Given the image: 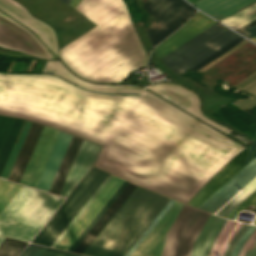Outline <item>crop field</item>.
<instances>
[{
  "instance_id": "c035e120",
  "label": "crop field",
  "mask_w": 256,
  "mask_h": 256,
  "mask_svg": "<svg viewBox=\"0 0 256 256\" xmlns=\"http://www.w3.org/2000/svg\"><path fill=\"white\" fill-rule=\"evenodd\" d=\"M249 227L247 224H243V226L240 228V230L237 232V234L234 236V238L231 240L227 251L224 256H230L235 244L240 239V237L243 235V233L246 231V229Z\"/></svg>"
},
{
  "instance_id": "eef30255",
  "label": "crop field",
  "mask_w": 256,
  "mask_h": 256,
  "mask_svg": "<svg viewBox=\"0 0 256 256\" xmlns=\"http://www.w3.org/2000/svg\"><path fill=\"white\" fill-rule=\"evenodd\" d=\"M242 189L243 190L237 194L230 202H228L220 211H218L216 215L224 217L248 195H250L256 189V176Z\"/></svg>"
},
{
  "instance_id": "b80d0937",
  "label": "crop field",
  "mask_w": 256,
  "mask_h": 256,
  "mask_svg": "<svg viewBox=\"0 0 256 256\" xmlns=\"http://www.w3.org/2000/svg\"><path fill=\"white\" fill-rule=\"evenodd\" d=\"M256 226L250 225V227L247 229V231L244 233V235L241 237V239L238 241L233 253L231 256H237L242 245L245 243V241L248 239V237L252 234V232L255 230Z\"/></svg>"
},
{
  "instance_id": "73cf0c24",
  "label": "crop field",
  "mask_w": 256,
  "mask_h": 256,
  "mask_svg": "<svg viewBox=\"0 0 256 256\" xmlns=\"http://www.w3.org/2000/svg\"><path fill=\"white\" fill-rule=\"evenodd\" d=\"M80 0H73L69 5L75 7Z\"/></svg>"
},
{
  "instance_id": "25e5ab78",
  "label": "crop field",
  "mask_w": 256,
  "mask_h": 256,
  "mask_svg": "<svg viewBox=\"0 0 256 256\" xmlns=\"http://www.w3.org/2000/svg\"><path fill=\"white\" fill-rule=\"evenodd\" d=\"M255 73H256V72H255ZM255 73H253V74H255ZM253 74H252V75H253ZM252 75H250V76H252ZM250 76H249V77H250ZM253 76H254V75H253ZM249 77H247L246 79H248ZM250 78H251V77H250ZM255 78H256V75H255L254 77H252L251 79H249L248 81H246L245 83H243L242 85H240V87H242V86H244L245 84L251 82V81L254 80ZM246 79H244L243 81H245ZM255 80H256V79H255ZM255 80H254V81H255ZM243 81H241L240 83H242ZM252 82H253V81H252ZM252 82H251V83H252ZM240 83H238V84H240ZM238 84H237V85H238ZM249 84H250V83H249ZM247 85H248V84H247ZM247 85H246V86H247ZM235 86H236V85H235ZM236 87H237V86H236ZM240 87H239V88H240ZM244 87H245V86H244ZM244 87H242V88H244ZM234 88H235V87H234ZM242 88H241V89H242Z\"/></svg>"
},
{
  "instance_id": "dbb93151",
  "label": "crop field",
  "mask_w": 256,
  "mask_h": 256,
  "mask_svg": "<svg viewBox=\"0 0 256 256\" xmlns=\"http://www.w3.org/2000/svg\"><path fill=\"white\" fill-rule=\"evenodd\" d=\"M251 40H253L254 42H256V37L252 38Z\"/></svg>"
},
{
  "instance_id": "89e229c0",
  "label": "crop field",
  "mask_w": 256,
  "mask_h": 256,
  "mask_svg": "<svg viewBox=\"0 0 256 256\" xmlns=\"http://www.w3.org/2000/svg\"><path fill=\"white\" fill-rule=\"evenodd\" d=\"M63 1H65V2H67V3H70L72 0H63Z\"/></svg>"
},
{
  "instance_id": "425ffa30",
  "label": "crop field",
  "mask_w": 256,
  "mask_h": 256,
  "mask_svg": "<svg viewBox=\"0 0 256 256\" xmlns=\"http://www.w3.org/2000/svg\"><path fill=\"white\" fill-rule=\"evenodd\" d=\"M255 24H256V20L251 22V23H249V24H247V25H245V26H243V27H241V28H239V29H237V30H235V31L241 33L243 31L247 30L248 28L254 26Z\"/></svg>"
},
{
  "instance_id": "d3111659",
  "label": "crop field",
  "mask_w": 256,
  "mask_h": 256,
  "mask_svg": "<svg viewBox=\"0 0 256 256\" xmlns=\"http://www.w3.org/2000/svg\"><path fill=\"white\" fill-rule=\"evenodd\" d=\"M22 185L0 179V213L21 189Z\"/></svg>"
},
{
  "instance_id": "412701ff",
  "label": "crop field",
  "mask_w": 256,
  "mask_h": 256,
  "mask_svg": "<svg viewBox=\"0 0 256 256\" xmlns=\"http://www.w3.org/2000/svg\"><path fill=\"white\" fill-rule=\"evenodd\" d=\"M63 200L23 186L0 215V235L30 241Z\"/></svg>"
},
{
  "instance_id": "5866460e",
  "label": "crop field",
  "mask_w": 256,
  "mask_h": 256,
  "mask_svg": "<svg viewBox=\"0 0 256 256\" xmlns=\"http://www.w3.org/2000/svg\"><path fill=\"white\" fill-rule=\"evenodd\" d=\"M250 204L256 206V190L225 217L235 220V215ZM254 224H256V220Z\"/></svg>"
},
{
  "instance_id": "733c2abd",
  "label": "crop field",
  "mask_w": 256,
  "mask_h": 256,
  "mask_svg": "<svg viewBox=\"0 0 256 256\" xmlns=\"http://www.w3.org/2000/svg\"><path fill=\"white\" fill-rule=\"evenodd\" d=\"M100 146L83 141L72 168L60 192V196L66 197L84 174L92 166Z\"/></svg>"
},
{
  "instance_id": "1f2cbd36",
  "label": "crop field",
  "mask_w": 256,
  "mask_h": 256,
  "mask_svg": "<svg viewBox=\"0 0 256 256\" xmlns=\"http://www.w3.org/2000/svg\"><path fill=\"white\" fill-rule=\"evenodd\" d=\"M4 237H0V243L3 241Z\"/></svg>"
},
{
  "instance_id": "8a807250",
  "label": "crop field",
  "mask_w": 256,
  "mask_h": 256,
  "mask_svg": "<svg viewBox=\"0 0 256 256\" xmlns=\"http://www.w3.org/2000/svg\"><path fill=\"white\" fill-rule=\"evenodd\" d=\"M51 75L0 73V114L104 145L95 167L186 204L243 146L133 85H97L59 61Z\"/></svg>"
},
{
  "instance_id": "e52e79f7",
  "label": "crop field",
  "mask_w": 256,
  "mask_h": 256,
  "mask_svg": "<svg viewBox=\"0 0 256 256\" xmlns=\"http://www.w3.org/2000/svg\"><path fill=\"white\" fill-rule=\"evenodd\" d=\"M209 213L184 204L169 229L161 256H189L192 243Z\"/></svg>"
},
{
  "instance_id": "00972430",
  "label": "crop field",
  "mask_w": 256,
  "mask_h": 256,
  "mask_svg": "<svg viewBox=\"0 0 256 256\" xmlns=\"http://www.w3.org/2000/svg\"><path fill=\"white\" fill-rule=\"evenodd\" d=\"M136 185L131 183L123 190V192L118 196V198L113 202V204L108 208V210L103 214L99 221L94 225V227L89 231V233L84 237V239L79 243V245L74 249V253L81 254L82 251L87 247V245L92 241V239L97 235L101 228L106 224V222L111 218V216L116 212L120 205L125 201V199L130 195V193L135 189Z\"/></svg>"
},
{
  "instance_id": "dafd665d",
  "label": "crop field",
  "mask_w": 256,
  "mask_h": 256,
  "mask_svg": "<svg viewBox=\"0 0 256 256\" xmlns=\"http://www.w3.org/2000/svg\"><path fill=\"white\" fill-rule=\"evenodd\" d=\"M43 127L44 126L42 125L34 123L31 124L11 174L8 178L9 180L17 183L19 182Z\"/></svg>"
},
{
  "instance_id": "d32e631a",
  "label": "crop field",
  "mask_w": 256,
  "mask_h": 256,
  "mask_svg": "<svg viewBox=\"0 0 256 256\" xmlns=\"http://www.w3.org/2000/svg\"><path fill=\"white\" fill-rule=\"evenodd\" d=\"M173 202L174 200L171 199L170 202L161 211V213L157 216V218L152 222V224L148 227V229L143 233V235L139 238V240L134 244V246L126 254V256H130L134 252V250L138 247V245L142 242V240L147 236V234L151 231V229L155 226V224L160 220V218L164 215V213L168 210V208L173 204Z\"/></svg>"
},
{
  "instance_id": "92a150f3",
  "label": "crop field",
  "mask_w": 256,
  "mask_h": 256,
  "mask_svg": "<svg viewBox=\"0 0 256 256\" xmlns=\"http://www.w3.org/2000/svg\"><path fill=\"white\" fill-rule=\"evenodd\" d=\"M71 137L72 136L69 134L62 132L60 133L54 149L50 155V158L47 162V165L40 178V181L36 187L37 189L46 192L48 191Z\"/></svg>"
},
{
  "instance_id": "120bbe31",
  "label": "crop field",
  "mask_w": 256,
  "mask_h": 256,
  "mask_svg": "<svg viewBox=\"0 0 256 256\" xmlns=\"http://www.w3.org/2000/svg\"><path fill=\"white\" fill-rule=\"evenodd\" d=\"M113 175H109V177L104 181V183L100 186V188L95 192V194L90 198V200L86 203V205L81 209V211L77 214V216L72 220V222L67 226V228L63 231V233L58 237V239L51 246L52 248L60 241V239L65 235V233L69 230V228L74 224V222L78 219V217L83 213V211L88 207V205L92 202V200L97 196V194L101 191V189L106 185V183L111 179Z\"/></svg>"
},
{
  "instance_id": "5d738f31",
  "label": "crop field",
  "mask_w": 256,
  "mask_h": 256,
  "mask_svg": "<svg viewBox=\"0 0 256 256\" xmlns=\"http://www.w3.org/2000/svg\"><path fill=\"white\" fill-rule=\"evenodd\" d=\"M244 256H256V238L251 243Z\"/></svg>"
},
{
  "instance_id": "d9b57169",
  "label": "crop field",
  "mask_w": 256,
  "mask_h": 256,
  "mask_svg": "<svg viewBox=\"0 0 256 256\" xmlns=\"http://www.w3.org/2000/svg\"><path fill=\"white\" fill-rule=\"evenodd\" d=\"M214 22L216 21L212 20L211 18L198 11L195 16L180 30H178L171 37H169L163 43L154 48L157 55L160 58L163 57L164 55H166L185 41L189 40Z\"/></svg>"
},
{
  "instance_id": "d23c7cc5",
  "label": "crop field",
  "mask_w": 256,
  "mask_h": 256,
  "mask_svg": "<svg viewBox=\"0 0 256 256\" xmlns=\"http://www.w3.org/2000/svg\"><path fill=\"white\" fill-rule=\"evenodd\" d=\"M241 34L244 35L245 37L249 38V39L256 36V26L247 30V31H245V32H243V33H241Z\"/></svg>"
},
{
  "instance_id": "4a817a6b",
  "label": "crop field",
  "mask_w": 256,
  "mask_h": 256,
  "mask_svg": "<svg viewBox=\"0 0 256 256\" xmlns=\"http://www.w3.org/2000/svg\"><path fill=\"white\" fill-rule=\"evenodd\" d=\"M187 4L184 0H148L144 3L143 6L146 12L152 14L157 19L145 28L148 36L153 34Z\"/></svg>"
},
{
  "instance_id": "1d83c4d3",
  "label": "crop field",
  "mask_w": 256,
  "mask_h": 256,
  "mask_svg": "<svg viewBox=\"0 0 256 256\" xmlns=\"http://www.w3.org/2000/svg\"><path fill=\"white\" fill-rule=\"evenodd\" d=\"M127 183L128 182H126V181L123 182V184L118 188V190L114 193V195L109 199V201L105 204V206L100 210V212L96 215V217L92 220V222L87 226V228L83 231V233L78 237V239L74 242V244L69 248V250H68L69 252L73 251V249L78 245V243L82 240V238L86 235V233L91 229V227L95 224V222L104 213V211L113 202V200L117 197V195L121 192V190L126 186Z\"/></svg>"
},
{
  "instance_id": "0bd39190",
  "label": "crop field",
  "mask_w": 256,
  "mask_h": 256,
  "mask_svg": "<svg viewBox=\"0 0 256 256\" xmlns=\"http://www.w3.org/2000/svg\"><path fill=\"white\" fill-rule=\"evenodd\" d=\"M13 122V118L0 116V149Z\"/></svg>"
},
{
  "instance_id": "028f5c9d",
  "label": "crop field",
  "mask_w": 256,
  "mask_h": 256,
  "mask_svg": "<svg viewBox=\"0 0 256 256\" xmlns=\"http://www.w3.org/2000/svg\"><path fill=\"white\" fill-rule=\"evenodd\" d=\"M242 40H244V39L241 38V37L238 38L237 40L230 43L229 45H227L226 47H224L223 49H221L220 51H218L214 55L210 56L209 58H207L206 60H204L203 62H201L200 64H198L197 66H195L192 69H194L196 71L199 70L200 68H202L203 66H205L206 64H208L209 62H211L212 60H214L215 58H217L218 56H220L221 54H223L224 52H226L227 50H229L230 48H232L233 46H235L236 44H238Z\"/></svg>"
},
{
  "instance_id": "e1f06a70",
  "label": "crop field",
  "mask_w": 256,
  "mask_h": 256,
  "mask_svg": "<svg viewBox=\"0 0 256 256\" xmlns=\"http://www.w3.org/2000/svg\"><path fill=\"white\" fill-rule=\"evenodd\" d=\"M256 83V81L254 82V83H252L251 85H249L248 87H246V88H244L242 91H244V90H246L247 88H249L250 86H252L253 84H255ZM254 86H256V84L255 85H253L252 87H250L249 89H251V88H253ZM249 89H247L246 91H248ZM256 89V87H254L253 89H251L250 91H248L247 93H250V92H252L253 90H255ZM245 91V92H246ZM256 91V90H255ZM254 92V91H253ZM252 92V93H253ZM251 94V93H250ZM256 94V92H254L253 94H251L252 96L253 95H255ZM254 98L256 97V95L255 96H253ZM256 99V98H255ZM253 101H255V100H252V99H248V98H243V99H241V100H239L237 103H235L234 105L235 106H237V107H239V108H244L245 106H247L248 104H250V103H252ZM256 105V101L255 102H253L252 104H250L249 106H247V107H245L244 109H251V108H253L254 106ZM243 109V110H244Z\"/></svg>"
},
{
  "instance_id": "d1516ede",
  "label": "crop field",
  "mask_w": 256,
  "mask_h": 256,
  "mask_svg": "<svg viewBox=\"0 0 256 256\" xmlns=\"http://www.w3.org/2000/svg\"><path fill=\"white\" fill-rule=\"evenodd\" d=\"M0 10L31 30L56 56L57 39L54 30L47 24L32 17L28 11L13 0H0Z\"/></svg>"
},
{
  "instance_id": "5a996713",
  "label": "crop field",
  "mask_w": 256,
  "mask_h": 256,
  "mask_svg": "<svg viewBox=\"0 0 256 256\" xmlns=\"http://www.w3.org/2000/svg\"><path fill=\"white\" fill-rule=\"evenodd\" d=\"M148 89L167 99L168 101L174 103L175 105L181 107L187 112L193 114L194 116L200 118L206 123L212 125L213 127L234 138L240 143L246 146L252 143L244 137L208 120L204 115H202L200 112V99L192 91L185 89L179 85L169 83L154 84Z\"/></svg>"
},
{
  "instance_id": "730fd06b",
  "label": "crop field",
  "mask_w": 256,
  "mask_h": 256,
  "mask_svg": "<svg viewBox=\"0 0 256 256\" xmlns=\"http://www.w3.org/2000/svg\"><path fill=\"white\" fill-rule=\"evenodd\" d=\"M236 221H230V220H227V222H226V224L224 225V227H223V229L221 230V232L219 233V235H218V237H217V239H216V241H215V243H214V246H213V248H212V250H211V252H210V255L209 256H212V254H213V252L214 251H217V252H219L220 251V249H221V247H222V245H223V243H224V241H225V239L227 238V236L229 235V233L231 232V230L233 229V227L236 225ZM239 223V222H238ZM237 226V225H236ZM235 226V227H236ZM242 226V223H239V225L236 227V229L233 231V233L230 235V237H229V239H228V241H227V239H226V241H227V243H226V241H225V243H226V245H225V243H224V245H225V247H224V245H223V247H224V249H223V253L225 252V250H226V248H227V246H228V244H229V242H230V240L233 238V236L236 234V232L239 230V228ZM217 252H215L214 253V255L213 256H223L224 254L223 253H217Z\"/></svg>"
},
{
  "instance_id": "d8731c3e",
  "label": "crop field",
  "mask_w": 256,
  "mask_h": 256,
  "mask_svg": "<svg viewBox=\"0 0 256 256\" xmlns=\"http://www.w3.org/2000/svg\"><path fill=\"white\" fill-rule=\"evenodd\" d=\"M0 46L32 55L53 58L54 55L27 29L0 12Z\"/></svg>"
},
{
  "instance_id": "750c4746",
  "label": "crop field",
  "mask_w": 256,
  "mask_h": 256,
  "mask_svg": "<svg viewBox=\"0 0 256 256\" xmlns=\"http://www.w3.org/2000/svg\"><path fill=\"white\" fill-rule=\"evenodd\" d=\"M30 124L31 123H29V122L26 123V125H25V127H24V129L22 131V134H21V136H20V138H19V140L17 142V144H14V146H13V148L11 150V153H10V155L8 157V160H7V162H6L5 166H4V169H3V171H2L0 176L6 177V178L8 177V175L10 173V170H11V168L13 166V163H14V161L16 159V156H17V154L19 152V149H20V147L22 145V142H23V140L25 138V135H26V133L28 131V128H29Z\"/></svg>"
},
{
  "instance_id": "4177f3b9",
  "label": "crop field",
  "mask_w": 256,
  "mask_h": 256,
  "mask_svg": "<svg viewBox=\"0 0 256 256\" xmlns=\"http://www.w3.org/2000/svg\"><path fill=\"white\" fill-rule=\"evenodd\" d=\"M196 11L189 4L177 13L172 19H170L165 25H163L158 31H156L149 39L153 45H157L175 29H177L191 14Z\"/></svg>"
},
{
  "instance_id": "dd49c442",
  "label": "crop field",
  "mask_w": 256,
  "mask_h": 256,
  "mask_svg": "<svg viewBox=\"0 0 256 256\" xmlns=\"http://www.w3.org/2000/svg\"><path fill=\"white\" fill-rule=\"evenodd\" d=\"M108 175L92 168L32 242L50 247Z\"/></svg>"
},
{
  "instance_id": "c21b1889",
  "label": "crop field",
  "mask_w": 256,
  "mask_h": 256,
  "mask_svg": "<svg viewBox=\"0 0 256 256\" xmlns=\"http://www.w3.org/2000/svg\"><path fill=\"white\" fill-rule=\"evenodd\" d=\"M45 249V247L30 244L21 256H40Z\"/></svg>"
},
{
  "instance_id": "28ad6ade",
  "label": "crop field",
  "mask_w": 256,
  "mask_h": 256,
  "mask_svg": "<svg viewBox=\"0 0 256 256\" xmlns=\"http://www.w3.org/2000/svg\"><path fill=\"white\" fill-rule=\"evenodd\" d=\"M59 133V131L44 127L20 184L36 187Z\"/></svg>"
},
{
  "instance_id": "bc2a9ffb",
  "label": "crop field",
  "mask_w": 256,
  "mask_h": 256,
  "mask_svg": "<svg viewBox=\"0 0 256 256\" xmlns=\"http://www.w3.org/2000/svg\"><path fill=\"white\" fill-rule=\"evenodd\" d=\"M225 222L226 219L210 214L193 243L190 256H207Z\"/></svg>"
},
{
  "instance_id": "b54c1fbb",
  "label": "crop field",
  "mask_w": 256,
  "mask_h": 256,
  "mask_svg": "<svg viewBox=\"0 0 256 256\" xmlns=\"http://www.w3.org/2000/svg\"><path fill=\"white\" fill-rule=\"evenodd\" d=\"M256 237V230L253 232V234L249 237V239L246 241V243L244 244L239 256H243L244 253L246 252L248 246L250 245V243L253 241V239Z\"/></svg>"
},
{
  "instance_id": "5142ce71",
  "label": "crop field",
  "mask_w": 256,
  "mask_h": 256,
  "mask_svg": "<svg viewBox=\"0 0 256 256\" xmlns=\"http://www.w3.org/2000/svg\"><path fill=\"white\" fill-rule=\"evenodd\" d=\"M256 175V158L238 172L232 179L223 185L217 192L208 198L199 208L214 213L230 197H232L239 186L243 187Z\"/></svg>"
},
{
  "instance_id": "cbeb9de0",
  "label": "crop field",
  "mask_w": 256,
  "mask_h": 256,
  "mask_svg": "<svg viewBox=\"0 0 256 256\" xmlns=\"http://www.w3.org/2000/svg\"><path fill=\"white\" fill-rule=\"evenodd\" d=\"M182 206L175 201L131 256H160L165 235Z\"/></svg>"
},
{
  "instance_id": "bd1437ed",
  "label": "crop field",
  "mask_w": 256,
  "mask_h": 256,
  "mask_svg": "<svg viewBox=\"0 0 256 256\" xmlns=\"http://www.w3.org/2000/svg\"><path fill=\"white\" fill-rule=\"evenodd\" d=\"M26 244L5 238L0 244V256H17Z\"/></svg>"
},
{
  "instance_id": "ae1a2a85",
  "label": "crop field",
  "mask_w": 256,
  "mask_h": 256,
  "mask_svg": "<svg viewBox=\"0 0 256 256\" xmlns=\"http://www.w3.org/2000/svg\"><path fill=\"white\" fill-rule=\"evenodd\" d=\"M254 9H256V4L247 8V9H245V10H243V11H241V12H239V13H237V14L229 16V17L221 20L220 22L235 30L236 28H238V27L256 19V12H253V13L248 14L246 16H242V15H244V14H246V13H248V12L254 10ZM240 16H242V17H240Z\"/></svg>"
},
{
  "instance_id": "03da06ac",
  "label": "crop field",
  "mask_w": 256,
  "mask_h": 256,
  "mask_svg": "<svg viewBox=\"0 0 256 256\" xmlns=\"http://www.w3.org/2000/svg\"><path fill=\"white\" fill-rule=\"evenodd\" d=\"M41 256H79V255L47 248Z\"/></svg>"
},
{
  "instance_id": "a9b5d70f",
  "label": "crop field",
  "mask_w": 256,
  "mask_h": 256,
  "mask_svg": "<svg viewBox=\"0 0 256 256\" xmlns=\"http://www.w3.org/2000/svg\"><path fill=\"white\" fill-rule=\"evenodd\" d=\"M82 141H83L82 139H79L74 136L72 137L69 143V146L66 150V153L62 159V162L59 166V169L52 182V185L48 191L49 193H53L57 195L59 194Z\"/></svg>"
},
{
  "instance_id": "3316defc",
  "label": "crop field",
  "mask_w": 256,
  "mask_h": 256,
  "mask_svg": "<svg viewBox=\"0 0 256 256\" xmlns=\"http://www.w3.org/2000/svg\"><path fill=\"white\" fill-rule=\"evenodd\" d=\"M122 182L123 180L113 176L55 248L67 251Z\"/></svg>"
},
{
  "instance_id": "214f88e0",
  "label": "crop field",
  "mask_w": 256,
  "mask_h": 256,
  "mask_svg": "<svg viewBox=\"0 0 256 256\" xmlns=\"http://www.w3.org/2000/svg\"><path fill=\"white\" fill-rule=\"evenodd\" d=\"M255 2L256 0H198L192 4L219 21Z\"/></svg>"
},
{
  "instance_id": "22f410ed",
  "label": "crop field",
  "mask_w": 256,
  "mask_h": 256,
  "mask_svg": "<svg viewBox=\"0 0 256 256\" xmlns=\"http://www.w3.org/2000/svg\"><path fill=\"white\" fill-rule=\"evenodd\" d=\"M255 157L256 155L247 149L241 152L202 188L189 205L198 207Z\"/></svg>"
},
{
  "instance_id": "34b2d1b8",
  "label": "crop field",
  "mask_w": 256,
  "mask_h": 256,
  "mask_svg": "<svg viewBox=\"0 0 256 256\" xmlns=\"http://www.w3.org/2000/svg\"><path fill=\"white\" fill-rule=\"evenodd\" d=\"M169 200L137 186L82 254L124 256Z\"/></svg>"
},
{
  "instance_id": "f4fd0767",
  "label": "crop field",
  "mask_w": 256,
  "mask_h": 256,
  "mask_svg": "<svg viewBox=\"0 0 256 256\" xmlns=\"http://www.w3.org/2000/svg\"><path fill=\"white\" fill-rule=\"evenodd\" d=\"M237 37L232 31L213 24L161 59L172 70L183 74Z\"/></svg>"
},
{
  "instance_id": "ac0d7876",
  "label": "crop field",
  "mask_w": 256,
  "mask_h": 256,
  "mask_svg": "<svg viewBox=\"0 0 256 256\" xmlns=\"http://www.w3.org/2000/svg\"><path fill=\"white\" fill-rule=\"evenodd\" d=\"M75 8L97 25L60 49L69 69L92 81L120 82L145 66L147 56L123 0H81Z\"/></svg>"
}]
</instances>
